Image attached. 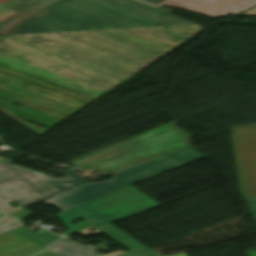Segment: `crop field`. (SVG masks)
<instances>
[{"instance_id": "f4fd0767", "label": "crop field", "mask_w": 256, "mask_h": 256, "mask_svg": "<svg viewBox=\"0 0 256 256\" xmlns=\"http://www.w3.org/2000/svg\"><path fill=\"white\" fill-rule=\"evenodd\" d=\"M200 157H203V155L199 154L190 146H188L134 168L114 174V179L112 181L105 183L93 182L43 202L50 205H55L61 211H63L81 203L130 186Z\"/></svg>"}, {"instance_id": "dafd665d", "label": "crop field", "mask_w": 256, "mask_h": 256, "mask_svg": "<svg viewBox=\"0 0 256 256\" xmlns=\"http://www.w3.org/2000/svg\"><path fill=\"white\" fill-rule=\"evenodd\" d=\"M242 14H244V15H256V7L251 9V10H249V11H246V12H244Z\"/></svg>"}, {"instance_id": "733c2abd", "label": "crop field", "mask_w": 256, "mask_h": 256, "mask_svg": "<svg viewBox=\"0 0 256 256\" xmlns=\"http://www.w3.org/2000/svg\"><path fill=\"white\" fill-rule=\"evenodd\" d=\"M32 214H34V213H32L26 209H23V210L15 212V213L9 214V216L21 220V219H24V218L32 215Z\"/></svg>"}, {"instance_id": "eef30255", "label": "crop field", "mask_w": 256, "mask_h": 256, "mask_svg": "<svg viewBox=\"0 0 256 256\" xmlns=\"http://www.w3.org/2000/svg\"><path fill=\"white\" fill-rule=\"evenodd\" d=\"M0 215H3V213L0 212Z\"/></svg>"}, {"instance_id": "dd49c442", "label": "crop field", "mask_w": 256, "mask_h": 256, "mask_svg": "<svg viewBox=\"0 0 256 256\" xmlns=\"http://www.w3.org/2000/svg\"><path fill=\"white\" fill-rule=\"evenodd\" d=\"M143 194L130 186L56 214L67 227L66 232L61 235L69 236L90 225L98 229L109 223L159 206ZM81 218H84L85 221L74 225L70 224L72 220Z\"/></svg>"}, {"instance_id": "22f410ed", "label": "crop field", "mask_w": 256, "mask_h": 256, "mask_svg": "<svg viewBox=\"0 0 256 256\" xmlns=\"http://www.w3.org/2000/svg\"><path fill=\"white\" fill-rule=\"evenodd\" d=\"M63 4L73 6V7H75V8L80 9V10H83V11H85V12H88V13H91V14H94V15H97V16H100V17H102V18H105V19H108V20H111V21L120 23V24L125 25V26H128V27H130V28L146 27V26L140 25V24H138V23H135V22H132V21H128V20L119 18V17L114 16V15H112V14H109V13H107V12H105V11H102V10H100V9L91 7V6H89V5H86V4L77 2V1H75V0H67V1H65Z\"/></svg>"}, {"instance_id": "3316defc", "label": "crop field", "mask_w": 256, "mask_h": 256, "mask_svg": "<svg viewBox=\"0 0 256 256\" xmlns=\"http://www.w3.org/2000/svg\"><path fill=\"white\" fill-rule=\"evenodd\" d=\"M43 0H0V28Z\"/></svg>"}, {"instance_id": "5142ce71", "label": "crop field", "mask_w": 256, "mask_h": 256, "mask_svg": "<svg viewBox=\"0 0 256 256\" xmlns=\"http://www.w3.org/2000/svg\"><path fill=\"white\" fill-rule=\"evenodd\" d=\"M25 225L17 220L9 218L7 216L0 218V234L9 230H13L19 226Z\"/></svg>"}, {"instance_id": "730fd06b", "label": "crop field", "mask_w": 256, "mask_h": 256, "mask_svg": "<svg viewBox=\"0 0 256 256\" xmlns=\"http://www.w3.org/2000/svg\"><path fill=\"white\" fill-rule=\"evenodd\" d=\"M173 256H186V253H180V254H177V255H173Z\"/></svg>"}, {"instance_id": "214f88e0", "label": "crop field", "mask_w": 256, "mask_h": 256, "mask_svg": "<svg viewBox=\"0 0 256 256\" xmlns=\"http://www.w3.org/2000/svg\"><path fill=\"white\" fill-rule=\"evenodd\" d=\"M248 208H249L250 214L252 215V217L256 221V206H252V207H248Z\"/></svg>"}, {"instance_id": "d8731c3e", "label": "crop field", "mask_w": 256, "mask_h": 256, "mask_svg": "<svg viewBox=\"0 0 256 256\" xmlns=\"http://www.w3.org/2000/svg\"><path fill=\"white\" fill-rule=\"evenodd\" d=\"M165 5L219 17L238 13L256 4V0H168Z\"/></svg>"}, {"instance_id": "28ad6ade", "label": "crop field", "mask_w": 256, "mask_h": 256, "mask_svg": "<svg viewBox=\"0 0 256 256\" xmlns=\"http://www.w3.org/2000/svg\"><path fill=\"white\" fill-rule=\"evenodd\" d=\"M46 250L63 256H101L100 254L94 252L95 249L70 241L69 238L51 245ZM59 251H61V253H58Z\"/></svg>"}, {"instance_id": "92a150f3", "label": "crop field", "mask_w": 256, "mask_h": 256, "mask_svg": "<svg viewBox=\"0 0 256 256\" xmlns=\"http://www.w3.org/2000/svg\"><path fill=\"white\" fill-rule=\"evenodd\" d=\"M34 256H60V255L45 251V252H42V253L34 255Z\"/></svg>"}, {"instance_id": "412701ff", "label": "crop field", "mask_w": 256, "mask_h": 256, "mask_svg": "<svg viewBox=\"0 0 256 256\" xmlns=\"http://www.w3.org/2000/svg\"><path fill=\"white\" fill-rule=\"evenodd\" d=\"M68 180H54L44 174L0 162V207L6 213L41 201L87 183L75 170L66 172ZM22 205L11 207L8 202Z\"/></svg>"}, {"instance_id": "5a996713", "label": "crop field", "mask_w": 256, "mask_h": 256, "mask_svg": "<svg viewBox=\"0 0 256 256\" xmlns=\"http://www.w3.org/2000/svg\"><path fill=\"white\" fill-rule=\"evenodd\" d=\"M41 250L12 231L0 235V256H28Z\"/></svg>"}, {"instance_id": "00972430", "label": "crop field", "mask_w": 256, "mask_h": 256, "mask_svg": "<svg viewBox=\"0 0 256 256\" xmlns=\"http://www.w3.org/2000/svg\"><path fill=\"white\" fill-rule=\"evenodd\" d=\"M145 1H148L150 3H153V4L157 5V4H159V3H161V2H163L165 0H145Z\"/></svg>"}, {"instance_id": "bc2a9ffb", "label": "crop field", "mask_w": 256, "mask_h": 256, "mask_svg": "<svg viewBox=\"0 0 256 256\" xmlns=\"http://www.w3.org/2000/svg\"><path fill=\"white\" fill-rule=\"evenodd\" d=\"M244 199L246 200L248 206L256 205V196L255 197H247Z\"/></svg>"}, {"instance_id": "a9b5d70f", "label": "crop field", "mask_w": 256, "mask_h": 256, "mask_svg": "<svg viewBox=\"0 0 256 256\" xmlns=\"http://www.w3.org/2000/svg\"><path fill=\"white\" fill-rule=\"evenodd\" d=\"M119 253H123V252L122 251H117V252H113V253L107 254L105 256H111V255H115V254H119Z\"/></svg>"}, {"instance_id": "d1516ede", "label": "crop field", "mask_w": 256, "mask_h": 256, "mask_svg": "<svg viewBox=\"0 0 256 256\" xmlns=\"http://www.w3.org/2000/svg\"><path fill=\"white\" fill-rule=\"evenodd\" d=\"M101 1L107 2V3L112 4L114 6H118V7L128 9L130 11L136 12L138 14L144 15L146 17L152 18L154 20H157L159 22L166 23V24H169V25L195 24V23L189 22L187 20L181 19L179 17L173 16L171 14H169L166 17H163V16L158 17V16L154 15L155 13H153V12L147 11L145 9L139 8L137 6L128 4V3L120 1V0H101Z\"/></svg>"}, {"instance_id": "4a817a6b", "label": "crop field", "mask_w": 256, "mask_h": 256, "mask_svg": "<svg viewBox=\"0 0 256 256\" xmlns=\"http://www.w3.org/2000/svg\"><path fill=\"white\" fill-rule=\"evenodd\" d=\"M93 227L92 226H90V227H88V228H86V229H84V230H82V231H80V232H78V233H81V234H83V235H85V236H87L88 234H100L101 232L100 231H98V230H96L95 228V231L94 232H88V230L89 229H92Z\"/></svg>"}, {"instance_id": "8a807250", "label": "crop field", "mask_w": 256, "mask_h": 256, "mask_svg": "<svg viewBox=\"0 0 256 256\" xmlns=\"http://www.w3.org/2000/svg\"><path fill=\"white\" fill-rule=\"evenodd\" d=\"M201 30L185 25L0 36L1 65L86 95L0 66V92L16 98L0 95L9 100L0 99V111L41 135Z\"/></svg>"}, {"instance_id": "ae1a2a85", "label": "crop field", "mask_w": 256, "mask_h": 256, "mask_svg": "<svg viewBox=\"0 0 256 256\" xmlns=\"http://www.w3.org/2000/svg\"><path fill=\"white\" fill-rule=\"evenodd\" d=\"M0 159H2V157H0Z\"/></svg>"}, {"instance_id": "e52e79f7", "label": "crop field", "mask_w": 256, "mask_h": 256, "mask_svg": "<svg viewBox=\"0 0 256 256\" xmlns=\"http://www.w3.org/2000/svg\"><path fill=\"white\" fill-rule=\"evenodd\" d=\"M239 195H256V124L230 127Z\"/></svg>"}, {"instance_id": "d9b57169", "label": "crop field", "mask_w": 256, "mask_h": 256, "mask_svg": "<svg viewBox=\"0 0 256 256\" xmlns=\"http://www.w3.org/2000/svg\"><path fill=\"white\" fill-rule=\"evenodd\" d=\"M50 0H44L43 2H41L40 4H38L37 6H35L34 8L30 9L29 11H27L26 13H24L23 15H21L20 17H18L17 19L13 20L12 22H10L9 24H7L5 27H3L2 29H0V33H2L4 30H6L7 28H9L10 26H12L13 24L17 23L18 21H20L21 19H23L24 17H26L27 15H29L30 13H32L33 11L37 10L38 8H40L41 6H43L44 4H46L47 2H49Z\"/></svg>"}, {"instance_id": "4177f3b9", "label": "crop field", "mask_w": 256, "mask_h": 256, "mask_svg": "<svg viewBox=\"0 0 256 256\" xmlns=\"http://www.w3.org/2000/svg\"><path fill=\"white\" fill-rule=\"evenodd\" d=\"M248 256H256V251H250V252H248Z\"/></svg>"}, {"instance_id": "ac0d7876", "label": "crop field", "mask_w": 256, "mask_h": 256, "mask_svg": "<svg viewBox=\"0 0 256 256\" xmlns=\"http://www.w3.org/2000/svg\"><path fill=\"white\" fill-rule=\"evenodd\" d=\"M64 1L65 0L50 1L0 35L127 28L117 23L85 13L73 7L65 6L62 4ZM78 1L100 8L119 17L138 22L148 27L165 26V24L151 20L128 10L114 7L99 0ZM123 1L145 8L163 16H166L172 12V10L163 7L156 10L132 0Z\"/></svg>"}, {"instance_id": "34b2d1b8", "label": "crop field", "mask_w": 256, "mask_h": 256, "mask_svg": "<svg viewBox=\"0 0 256 256\" xmlns=\"http://www.w3.org/2000/svg\"><path fill=\"white\" fill-rule=\"evenodd\" d=\"M188 144L185 132L174 124H165L105 147L114 155L79 168L85 171L113 173Z\"/></svg>"}, {"instance_id": "cbeb9de0", "label": "crop field", "mask_w": 256, "mask_h": 256, "mask_svg": "<svg viewBox=\"0 0 256 256\" xmlns=\"http://www.w3.org/2000/svg\"><path fill=\"white\" fill-rule=\"evenodd\" d=\"M109 155H112L110 152H108L106 149L102 148V149H98L96 151L90 152L88 154H85L83 156H80L78 158L72 159L70 160V162L76 166H82L84 164L93 162L95 160L107 157Z\"/></svg>"}]
</instances>
